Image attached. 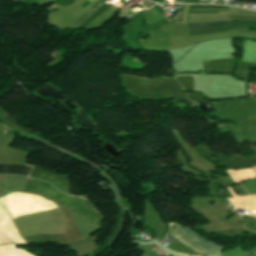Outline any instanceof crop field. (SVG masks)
Listing matches in <instances>:
<instances>
[{
	"label": "crop field",
	"mask_w": 256,
	"mask_h": 256,
	"mask_svg": "<svg viewBox=\"0 0 256 256\" xmlns=\"http://www.w3.org/2000/svg\"><path fill=\"white\" fill-rule=\"evenodd\" d=\"M49 185L44 182L29 178L24 190L37 192L54 198L61 203L69 206L74 211L91 220L92 222L100 226L102 225V217L93 209L89 202L85 200L74 199L72 197L64 195L60 191Z\"/></svg>",
	"instance_id": "obj_1"
},
{
	"label": "crop field",
	"mask_w": 256,
	"mask_h": 256,
	"mask_svg": "<svg viewBox=\"0 0 256 256\" xmlns=\"http://www.w3.org/2000/svg\"><path fill=\"white\" fill-rule=\"evenodd\" d=\"M171 235L181 240L182 242H184L185 244H187L188 246L195 249L201 254L217 253L222 249V247H219L215 244H212L202 239L195 232L189 229L180 227L178 225H176Z\"/></svg>",
	"instance_id": "obj_2"
},
{
	"label": "crop field",
	"mask_w": 256,
	"mask_h": 256,
	"mask_svg": "<svg viewBox=\"0 0 256 256\" xmlns=\"http://www.w3.org/2000/svg\"><path fill=\"white\" fill-rule=\"evenodd\" d=\"M30 177L45 180L53 184L57 189L71 195V183L69 176H60L48 170L35 167Z\"/></svg>",
	"instance_id": "obj_3"
},
{
	"label": "crop field",
	"mask_w": 256,
	"mask_h": 256,
	"mask_svg": "<svg viewBox=\"0 0 256 256\" xmlns=\"http://www.w3.org/2000/svg\"><path fill=\"white\" fill-rule=\"evenodd\" d=\"M231 20L210 22V23H189V32H200V31H211V30H221L226 28L234 29H245V28H235L230 27ZM250 30V29H245Z\"/></svg>",
	"instance_id": "obj_4"
},
{
	"label": "crop field",
	"mask_w": 256,
	"mask_h": 256,
	"mask_svg": "<svg viewBox=\"0 0 256 256\" xmlns=\"http://www.w3.org/2000/svg\"><path fill=\"white\" fill-rule=\"evenodd\" d=\"M31 167L10 165V164H0V174H16L28 176Z\"/></svg>",
	"instance_id": "obj_5"
},
{
	"label": "crop field",
	"mask_w": 256,
	"mask_h": 256,
	"mask_svg": "<svg viewBox=\"0 0 256 256\" xmlns=\"http://www.w3.org/2000/svg\"><path fill=\"white\" fill-rule=\"evenodd\" d=\"M253 169L256 171V167H253Z\"/></svg>",
	"instance_id": "obj_6"
},
{
	"label": "crop field",
	"mask_w": 256,
	"mask_h": 256,
	"mask_svg": "<svg viewBox=\"0 0 256 256\" xmlns=\"http://www.w3.org/2000/svg\"><path fill=\"white\" fill-rule=\"evenodd\" d=\"M49 1H51V0H49Z\"/></svg>",
	"instance_id": "obj_7"
}]
</instances>
